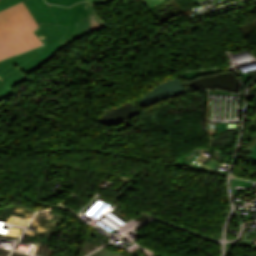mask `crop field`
I'll return each mask as SVG.
<instances>
[{"label": "crop field", "mask_w": 256, "mask_h": 256, "mask_svg": "<svg viewBox=\"0 0 256 256\" xmlns=\"http://www.w3.org/2000/svg\"><path fill=\"white\" fill-rule=\"evenodd\" d=\"M23 0H0V11Z\"/></svg>", "instance_id": "obj_6"}, {"label": "crop field", "mask_w": 256, "mask_h": 256, "mask_svg": "<svg viewBox=\"0 0 256 256\" xmlns=\"http://www.w3.org/2000/svg\"><path fill=\"white\" fill-rule=\"evenodd\" d=\"M109 0H90V2H93V3H100V4H106ZM169 0H142V3L145 4V6L148 8V9H152L162 3H165Z\"/></svg>", "instance_id": "obj_4"}, {"label": "crop field", "mask_w": 256, "mask_h": 256, "mask_svg": "<svg viewBox=\"0 0 256 256\" xmlns=\"http://www.w3.org/2000/svg\"><path fill=\"white\" fill-rule=\"evenodd\" d=\"M37 27L23 2L0 12V61L42 45Z\"/></svg>", "instance_id": "obj_3"}, {"label": "crop field", "mask_w": 256, "mask_h": 256, "mask_svg": "<svg viewBox=\"0 0 256 256\" xmlns=\"http://www.w3.org/2000/svg\"><path fill=\"white\" fill-rule=\"evenodd\" d=\"M79 1H83V0H46V2H49V3L60 4V5L68 6V7H70L71 5H73Z\"/></svg>", "instance_id": "obj_5"}, {"label": "crop field", "mask_w": 256, "mask_h": 256, "mask_svg": "<svg viewBox=\"0 0 256 256\" xmlns=\"http://www.w3.org/2000/svg\"><path fill=\"white\" fill-rule=\"evenodd\" d=\"M252 160L253 161H251V162L256 164V145H255V147L253 149Z\"/></svg>", "instance_id": "obj_7"}, {"label": "crop field", "mask_w": 256, "mask_h": 256, "mask_svg": "<svg viewBox=\"0 0 256 256\" xmlns=\"http://www.w3.org/2000/svg\"><path fill=\"white\" fill-rule=\"evenodd\" d=\"M38 26L41 22L69 26L65 36L59 41L63 46L78 40L107 24L95 11L94 5L80 2L69 9L46 4L44 0H25Z\"/></svg>", "instance_id": "obj_2"}, {"label": "crop field", "mask_w": 256, "mask_h": 256, "mask_svg": "<svg viewBox=\"0 0 256 256\" xmlns=\"http://www.w3.org/2000/svg\"><path fill=\"white\" fill-rule=\"evenodd\" d=\"M138 256H143L142 254L138 255Z\"/></svg>", "instance_id": "obj_9"}, {"label": "crop field", "mask_w": 256, "mask_h": 256, "mask_svg": "<svg viewBox=\"0 0 256 256\" xmlns=\"http://www.w3.org/2000/svg\"><path fill=\"white\" fill-rule=\"evenodd\" d=\"M67 28L41 23L34 32L44 45L0 62V99L15 93L12 86L29 80L28 74L39 69L62 49L58 41Z\"/></svg>", "instance_id": "obj_1"}, {"label": "crop field", "mask_w": 256, "mask_h": 256, "mask_svg": "<svg viewBox=\"0 0 256 256\" xmlns=\"http://www.w3.org/2000/svg\"><path fill=\"white\" fill-rule=\"evenodd\" d=\"M114 256H122V255H120V254H117V255H114Z\"/></svg>", "instance_id": "obj_8"}]
</instances>
